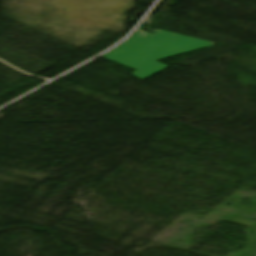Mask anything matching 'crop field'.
Masks as SVG:
<instances>
[{"mask_svg":"<svg viewBox=\"0 0 256 256\" xmlns=\"http://www.w3.org/2000/svg\"><path fill=\"white\" fill-rule=\"evenodd\" d=\"M213 44L215 43L160 30L154 34L138 31L103 58L137 70L132 74L142 80L167 67L155 60L199 50Z\"/></svg>","mask_w":256,"mask_h":256,"instance_id":"8a807250","label":"crop field"}]
</instances>
